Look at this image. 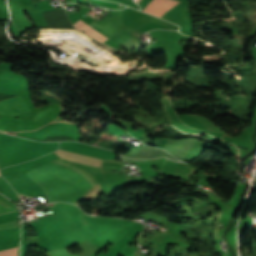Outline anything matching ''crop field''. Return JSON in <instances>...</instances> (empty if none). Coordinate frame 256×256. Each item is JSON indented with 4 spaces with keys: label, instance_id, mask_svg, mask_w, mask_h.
<instances>
[{
    "label": "crop field",
    "instance_id": "crop-field-1",
    "mask_svg": "<svg viewBox=\"0 0 256 256\" xmlns=\"http://www.w3.org/2000/svg\"><path fill=\"white\" fill-rule=\"evenodd\" d=\"M27 112H31V110L21 96L0 102V113L2 114L15 116Z\"/></svg>",
    "mask_w": 256,
    "mask_h": 256
},
{
    "label": "crop field",
    "instance_id": "crop-field-2",
    "mask_svg": "<svg viewBox=\"0 0 256 256\" xmlns=\"http://www.w3.org/2000/svg\"><path fill=\"white\" fill-rule=\"evenodd\" d=\"M178 3L180 2L176 0H152L143 11L161 17Z\"/></svg>",
    "mask_w": 256,
    "mask_h": 256
},
{
    "label": "crop field",
    "instance_id": "crop-field-3",
    "mask_svg": "<svg viewBox=\"0 0 256 256\" xmlns=\"http://www.w3.org/2000/svg\"><path fill=\"white\" fill-rule=\"evenodd\" d=\"M84 251L76 256H94L100 249L90 240L81 243ZM52 256H74L65 249L50 252Z\"/></svg>",
    "mask_w": 256,
    "mask_h": 256
},
{
    "label": "crop field",
    "instance_id": "crop-field-4",
    "mask_svg": "<svg viewBox=\"0 0 256 256\" xmlns=\"http://www.w3.org/2000/svg\"><path fill=\"white\" fill-rule=\"evenodd\" d=\"M75 24H77V25H78L79 27H81L82 29H84V30H86V31H88V32H90V33H92V34H94V35H96V36H98V37L104 39V40L108 39V38H106L104 35H102L101 33H99V32H97V31L93 30L92 28H90L89 26H87L85 23H83V22L80 21V20H79L77 23H75Z\"/></svg>",
    "mask_w": 256,
    "mask_h": 256
},
{
    "label": "crop field",
    "instance_id": "crop-field-5",
    "mask_svg": "<svg viewBox=\"0 0 256 256\" xmlns=\"http://www.w3.org/2000/svg\"><path fill=\"white\" fill-rule=\"evenodd\" d=\"M136 3L139 1V0H134Z\"/></svg>",
    "mask_w": 256,
    "mask_h": 256
},
{
    "label": "crop field",
    "instance_id": "crop-field-6",
    "mask_svg": "<svg viewBox=\"0 0 256 256\" xmlns=\"http://www.w3.org/2000/svg\"><path fill=\"white\" fill-rule=\"evenodd\" d=\"M20 195V194H19Z\"/></svg>",
    "mask_w": 256,
    "mask_h": 256
}]
</instances>
